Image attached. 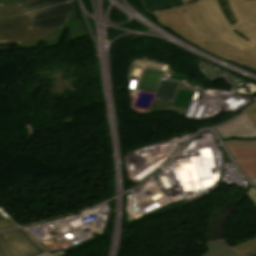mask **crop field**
<instances>
[{
	"label": "crop field",
	"instance_id": "crop-field-5",
	"mask_svg": "<svg viewBox=\"0 0 256 256\" xmlns=\"http://www.w3.org/2000/svg\"><path fill=\"white\" fill-rule=\"evenodd\" d=\"M72 12L71 2L28 13V28H61Z\"/></svg>",
	"mask_w": 256,
	"mask_h": 256
},
{
	"label": "crop field",
	"instance_id": "crop-field-3",
	"mask_svg": "<svg viewBox=\"0 0 256 256\" xmlns=\"http://www.w3.org/2000/svg\"><path fill=\"white\" fill-rule=\"evenodd\" d=\"M22 230L0 234V256H35L45 252Z\"/></svg>",
	"mask_w": 256,
	"mask_h": 256
},
{
	"label": "crop field",
	"instance_id": "crop-field-15",
	"mask_svg": "<svg viewBox=\"0 0 256 256\" xmlns=\"http://www.w3.org/2000/svg\"><path fill=\"white\" fill-rule=\"evenodd\" d=\"M38 256H49V255L47 254V252H45V253L40 254V255H38ZM53 256H63V253H57V254H55V255H53Z\"/></svg>",
	"mask_w": 256,
	"mask_h": 256
},
{
	"label": "crop field",
	"instance_id": "crop-field-4",
	"mask_svg": "<svg viewBox=\"0 0 256 256\" xmlns=\"http://www.w3.org/2000/svg\"><path fill=\"white\" fill-rule=\"evenodd\" d=\"M233 158L244 174L253 180L256 176V140H224Z\"/></svg>",
	"mask_w": 256,
	"mask_h": 256
},
{
	"label": "crop field",
	"instance_id": "crop-field-14",
	"mask_svg": "<svg viewBox=\"0 0 256 256\" xmlns=\"http://www.w3.org/2000/svg\"><path fill=\"white\" fill-rule=\"evenodd\" d=\"M249 195L251 196V198L253 199V201L256 204V189H254L253 187H251Z\"/></svg>",
	"mask_w": 256,
	"mask_h": 256
},
{
	"label": "crop field",
	"instance_id": "crop-field-12",
	"mask_svg": "<svg viewBox=\"0 0 256 256\" xmlns=\"http://www.w3.org/2000/svg\"><path fill=\"white\" fill-rule=\"evenodd\" d=\"M13 227H16V225L9 218H5L0 221V230H5Z\"/></svg>",
	"mask_w": 256,
	"mask_h": 256
},
{
	"label": "crop field",
	"instance_id": "crop-field-2",
	"mask_svg": "<svg viewBox=\"0 0 256 256\" xmlns=\"http://www.w3.org/2000/svg\"><path fill=\"white\" fill-rule=\"evenodd\" d=\"M26 15L0 19V45L19 43L15 49L33 46H51L59 44L64 33H68L67 42L88 36L76 20L74 12L61 29H27Z\"/></svg>",
	"mask_w": 256,
	"mask_h": 256
},
{
	"label": "crop field",
	"instance_id": "crop-field-6",
	"mask_svg": "<svg viewBox=\"0 0 256 256\" xmlns=\"http://www.w3.org/2000/svg\"><path fill=\"white\" fill-rule=\"evenodd\" d=\"M216 130L220 134L222 140L230 138L246 140L256 139V126L246 112L234 121L216 127Z\"/></svg>",
	"mask_w": 256,
	"mask_h": 256
},
{
	"label": "crop field",
	"instance_id": "crop-field-18",
	"mask_svg": "<svg viewBox=\"0 0 256 256\" xmlns=\"http://www.w3.org/2000/svg\"><path fill=\"white\" fill-rule=\"evenodd\" d=\"M4 217L0 214V220L3 219Z\"/></svg>",
	"mask_w": 256,
	"mask_h": 256
},
{
	"label": "crop field",
	"instance_id": "crop-field-19",
	"mask_svg": "<svg viewBox=\"0 0 256 256\" xmlns=\"http://www.w3.org/2000/svg\"><path fill=\"white\" fill-rule=\"evenodd\" d=\"M254 183H256V180H254Z\"/></svg>",
	"mask_w": 256,
	"mask_h": 256
},
{
	"label": "crop field",
	"instance_id": "crop-field-16",
	"mask_svg": "<svg viewBox=\"0 0 256 256\" xmlns=\"http://www.w3.org/2000/svg\"><path fill=\"white\" fill-rule=\"evenodd\" d=\"M7 1H11V0H0V3H4V2H7ZM19 3H21L23 0H16Z\"/></svg>",
	"mask_w": 256,
	"mask_h": 256
},
{
	"label": "crop field",
	"instance_id": "crop-field-9",
	"mask_svg": "<svg viewBox=\"0 0 256 256\" xmlns=\"http://www.w3.org/2000/svg\"><path fill=\"white\" fill-rule=\"evenodd\" d=\"M148 11L156 10L163 7L182 4L181 0H142Z\"/></svg>",
	"mask_w": 256,
	"mask_h": 256
},
{
	"label": "crop field",
	"instance_id": "crop-field-1",
	"mask_svg": "<svg viewBox=\"0 0 256 256\" xmlns=\"http://www.w3.org/2000/svg\"><path fill=\"white\" fill-rule=\"evenodd\" d=\"M226 1L238 21L232 26L217 0H199L154 15L159 23L207 52L256 70V0Z\"/></svg>",
	"mask_w": 256,
	"mask_h": 256
},
{
	"label": "crop field",
	"instance_id": "crop-field-11",
	"mask_svg": "<svg viewBox=\"0 0 256 256\" xmlns=\"http://www.w3.org/2000/svg\"><path fill=\"white\" fill-rule=\"evenodd\" d=\"M232 248L236 249L237 251L246 256L252 251L256 250V238H253L239 245H234L232 246Z\"/></svg>",
	"mask_w": 256,
	"mask_h": 256
},
{
	"label": "crop field",
	"instance_id": "crop-field-17",
	"mask_svg": "<svg viewBox=\"0 0 256 256\" xmlns=\"http://www.w3.org/2000/svg\"><path fill=\"white\" fill-rule=\"evenodd\" d=\"M191 1H193V0H182V3L184 4V3L191 2Z\"/></svg>",
	"mask_w": 256,
	"mask_h": 256
},
{
	"label": "crop field",
	"instance_id": "crop-field-20",
	"mask_svg": "<svg viewBox=\"0 0 256 256\" xmlns=\"http://www.w3.org/2000/svg\"><path fill=\"white\" fill-rule=\"evenodd\" d=\"M254 256H256V254Z\"/></svg>",
	"mask_w": 256,
	"mask_h": 256
},
{
	"label": "crop field",
	"instance_id": "crop-field-8",
	"mask_svg": "<svg viewBox=\"0 0 256 256\" xmlns=\"http://www.w3.org/2000/svg\"><path fill=\"white\" fill-rule=\"evenodd\" d=\"M35 0H25L21 4H17L16 1L7 2L0 5V17L12 16L23 14L22 7L30 4Z\"/></svg>",
	"mask_w": 256,
	"mask_h": 256
},
{
	"label": "crop field",
	"instance_id": "crop-field-7",
	"mask_svg": "<svg viewBox=\"0 0 256 256\" xmlns=\"http://www.w3.org/2000/svg\"><path fill=\"white\" fill-rule=\"evenodd\" d=\"M207 249L209 251L203 256H242L231 249L225 241L207 243Z\"/></svg>",
	"mask_w": 256,
	"mask_h": 256
},
{
	"label": "crop field",
	"instance_id": "crop-field-13",
	"mask_svg": "<svg viewBox=\"0 0 256 256\" xmlns=\"http://www.w3.org/2000/svg\"><path fill=\"white\" fill-rule=\"evenodd\" d=\"M246 112L256 125V104L252 106L250 109H248Z\"/></svg>",
	"mask_w": 256,
	"mask_h": 256
},
{
	"label": "crop field",
	"instance_id": "crop-field-10",
	"mask_svg": "<svg viewBox=\"0 0 256 256\" xmlns=\"http://www.w3.org/2000/svg\"><path fill=\"white\" fill-rule=\"evenodd\" d=\"M66 1H70V0H38L22 9L24 10L25 13H27L32 10H37V9L57 5Z\"/></svg>",
	"mask_w": 256,
	"mask_h": 256
}]
</instances>
